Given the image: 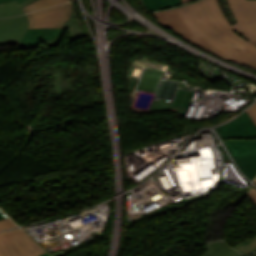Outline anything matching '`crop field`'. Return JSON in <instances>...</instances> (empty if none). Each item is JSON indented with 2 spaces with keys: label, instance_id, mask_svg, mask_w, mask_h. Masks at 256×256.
<instances>
[{
  "label": "crop field",
  "instance_id": "crop-field-1",
  "mask_svg": "<svg viewBox=\"0 0 256 256\" xmlns=\"http://www.w3.org/2000/svg\"><path fill=\"white\" fill-rule=\"evenodd\" d=\"M226 1L238 21L232 26L217 0H199L154 15L159 23L207 52L256 70V0Z\"/></svg>",
  "mask_w": 256,
  "mask_h": 256
},
{
  "label": "crop field",
  "instance_id": "crop-field-2",
  "mask_svg": "<svg viewBox=\"0 0 256 256\" xmlns=\"http://www.w3.org/2000/svg\"><path fill=\"white\" fill-rule=\"evenodd\" d=\"M26 15L0 19V45L19 43L15 49L33 46H51L59 44L64 33H68L67 42L88 36L76 20L74 12L61 29H27Z\"/></svg>",
  "mask_w": 256,
  "mask_h": 256
},
{
  "label": "crop field",
  "instance_id": "crop-field-3",
  "mask_svg": "<svg viewBox=\"0 0 256 256\" xmlns=\"http://www.w3.org/2000/svg\"><path fill=\"white\" fill-rule=\"evenodd\" d=\"M22 230L0 234V256H35L45 252Z\"/></svg>",
  "mask_w": 256,
  "mask_h": 256
},
{
  "label": "crop field",
  "instance_id": "crop-field-4",
  "mask_svg": "<svg viewBox=\"0 0 256 256\" xmlns=\"http://www.w3.org/2000/svg\"><path fill=\"white\" fill-rule=\"evenodd\" d=\"M233 158L244 174L253 180L256 176V140H224Z\"/></svg>",
  "mask_w": 256,
  "mask_h": 256
},
{
  "label": "crop field",
  "instance_id": "crop-field-5",
  "mask_svg": "<svg viewBox=\"0 0 256 256\" xmlns=\"http://www.w3.org/2000/svg\"><path fill=\"white\" fill-rule=\"evenodd\" d=\"M72 12L71 2L28 13V28H61Z\"/></svg>",
  "mask_w": 256,
  "mask_h": 256
},
{
  "label": "crop field",
  "instance_id": "crop-field-6",
  "mask_svg": "<svg viewBox=\"0 0 256 256\" xmlns=\"http://www.w3.org/2000/svg\"><path fill=\"white\" fill-rule=\"evenodd\" d=\"M216 130L220 134L222 140L230 138L246 140L256 139V126L246 112L234 121L216 127Z\"/></svg>",
  "mask_w": 256,
  "mask_h": 256
},
{
  "label": "crop field",
  "instance_id": "crop-field-7",
  "mask_svg": "<svg viewBox=\"0 0 256 256\" xmlns=\"http://www.w3.org/2000/svg\"><path fill=\"white\" fill-rule=\"evenodd\" d=\"M207 249L209 251L203 256H242L231 249L225 241L207 243Z\"/></svg>",
  "mask_w": 256,
  "mask_h": 256
},
{
  "label": "crop field",
  "instance_id": "crop-field-8",
  "mask_svg": "<svg viewBox=\"0 0 256 256\" xmlns=\"http://www.w3.org/2000/svg\"><path fill=\"white\" fill-rule=\"evenodd\" d=\"M35 0H25L21 4H17L16 1L7 2L0 5V17L12 16L23 14L22 7L30 4Z\"/></svg>",
  "mask_w": 256,
  "mask_h": 256
},
{
  "label": "crop field",
  "instance_id": "crop-field-9",
  "mask_svg": "<svg viewBox=\"0 0 256 256\" xmlns=\"http://www.w3.org/2000/svg\"><path fill=\"white\" fill-rule=\"evenodd\" d=\"M148 11L156 10L163 7L182 4L181 0H142Z\"/></svg>",
  "mask_w": 256,
  "mask_h": 256
},
{
  "label": "crop field",
  "instance_id": "crop-field-10",
  "mask_svg": "<svg viewBox=\"0 0 256 256\" xmlns=\"http://www.w3.org/2000/svg\"><path fill=\"white\" fill-rule=\"evenodd\" d=\"M66 1H70V0H38L22 9L24 10L25 13H27L32 10H37V9L57 5Z\"/></svg>",
  "mask_w": 256,
  "mask_h": 256
},
{
  "label": "crop field",
  "instance_id": "crop-field-11",
  "mask_svg": "<svg viewBox=\"0 0 256 256\" xmlns=\"http://www.w3.org/2000/svg\"><path fill=\"white\" fill-rule=\"evenodd\" d=\"M232 248L236 249L237 251L246 256L252 251L256 250V238H253L239 245H234L232 246Z\"/></svg>",
  "mask_w": 256,
  "mask_h": 256
},
{
  "label": "crop field",
  "instance_id": "crop-field-12",
  "mask_svg": "<svg viewBox=\"0 0 256 256\" xmlns=\"http://www.w3.org/2000/svg\"><path fill=\"white\" fill-rule=\"evenodd\" d=\"M13 227H16V225L9 218H5L0 221V230H5Z\"/></svg>",
  "mask_w": 256,
  "mask_h": 256
},
{
  "label": "crop field",
  "instance_id": "crop-field-13",
  "mask_svg": "<svg viewBox=\"0 0 256 256\" xmlns=\"http://www.w3.org/2000/svg\"><path fill=\"white\" fill-rule=\"evenodd\" d=\"M246 112L256 125V104L252 106L250 109H248Z\"/></svg>",
  "mask_w": 256,
  "mask_h": 256
},
{
  "label": "crop field",
  "instance_id": "crop-field-14",
  "mask_svg": "<svg viewBox=\"0 0 256 256\" xmlns=\"http://www.w3.org/2000/svg\"><path fill=\"white\" fill-rule=\"evenodd\" d=\"M249 195L251 196V198L253 199V201L256 204V189H254L253 187H251Z\"/></svg>",
  "mask_w": 256,
  "mask_h": 256
},
{
  "label": "crop field",
  "instance_id": "crop-field-15",
  "mask_svg": "<svg viewBox=\"0 0 256 256\" xmlns=\"http://www.w3.org/2000/svg\"><path fill=\"white\" fill-rule=\"evenodd\" d=\"M38 256H49V255L47 254V252H45V253L40 254V255H38ZM53 256H63V253H57V254H55V255H53Z\"/></svg>",
  "mask_w": 256,
  "mask_h": 256
},
{
  "label": "crop field",
  "instance_id": "crop-field-16",
  "mask_svg": "<svg viewBox=\"0 0 256 256\" xmlns=\"http://www.w3.org/2000/svg\"><path fill=\"white\" fill-rule=\"evenodd\" d=\"M7 1H11V0H0V3H4V2H7ZM19 3H21L23 0H16Z\"/></svg>",
  "mask_w": 256,
  "mask_h": 256
},
{
  "label": "crop field",
  "instance_id": "crop-field-17",
  "mask_svg": "<svg viewBox=\"0 0 256 256\" xmlns=\"http://www.w3.org/2000/svg\"><path fill=\"white\" fill-rule=\"evenodd\" d=\"M191 1H193V0H182V3L184 4V3L191 2Z\"/></svg>",
  "mask_w": 256,
  "mask_h": 256
},
{
  "label": "crop field",
  "instance_id": "crop-field-18",
  "mask_svg": "<svg viewBox=\"0 0 256 256\" xmlns=\"http://www.w3.org/2000/svg\"><path fill=\"white\" fill-rule=\"evenodd\" d=\"M4 217L0 214V220L3 219Z\"/></svg>",
  "mask_w": 256,
  "mask_h": 256
},
{
  "label": "crop field",
  "instance_id": "crop-field-19",
  "mask_svg": "<svg viewBox=\"0 0 256 256\" xmlns=\"http://www.w3.org/2000/svg\"><path fill=\"white\" fill-rule=\"evenodd\" d=\"M254 183H256V180H254Z\"/></svg>",
  "mask_w": 256,
  "mask_h": 256
},
{
  "label": "crop field",
  "instance_id": "crop-field-20",
  "mask_svg": "<svg viewBox=\"0 0 256 256\" xmlns=\"http://www.w3.org/2000/svg\"><path fill=\"white\" fill-rule=\"evenodd\" d=\"M254 256H256V254Z\"/></svg>",
  "mask_w": 256,
  "mask_h": 256
}]
</instances>
